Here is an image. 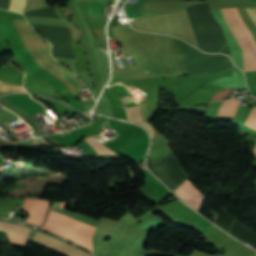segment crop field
Segmentation results:
<instances>
[{
	"instance_id": "8",
	"label": "crop field",
	"mask_w": 256,
	"mask_h": 256,
	"mask_svg": "<svg viewBox=\"0 0 256 256\" xmlns=\"http://www.w3.org/2000/svg\"><path fill=\"white\" fill-rule=\"evenodd\" d=\"M21 92H25L22 87L18 86ZM17 85L0 80V93L20 92Z\"/></svg>"
},
{
	"instance_id": "6",
	"label": "crop field",
	"mask_w": 256,
	"mask_h": 256,
	"mask_svg": "<svg viewBox=\"0 0 256 256\" xmlns=\"http://www.w3.org/2000/svg\"><path fill=\"white\" fill-rule=\"evenodd\" d=\"M223 103L221 104V107ZM238 105H239V100L237 99H229L225 101L223 107L219 109L218 116H234L238 108Z\"/></svg>"
},
{
	"instance_id": "10",
	"label": "crop field",
	"mask_w": 256,
	"mask_h": 256,
	"mask_svg": "<svg viewBox=\"0 0 256 256\" xmlns=\"http://www.w3.org/2000/svg\"><path fill=\"white\" fill-rule=\"evenodd\" d=\"M125 109H126V112H127L128 119L130 121L142 119L140 106L129 107V108H125Z\"/></svg>"
},
{
	"instance_id": "9",
	"label": "crop field",
	"mask_w": 256,
	"mask_h": 256,
	"mask_svg": "<svg viewBox=\"0 0 256 256\" xmlns=\"http://www.w3.org/2000/svg\"><path fill=\"white\" fill-rule=\"evenodd\" d=\"M24 6L25 0H9L7 9L23 14L22 11L24 9Z\"/></svg>"
},
{
	"instance_id": "2",
	"label": "crop field",
	"mask_w": 256,
	"mask_h": 256,
	"mask_svg": "<svg viewBox=\"0 0 256 256\" xmlns=\"http://www.w3.org/2000/svg\"><path fill=\"white\" fill-rule=\"evenodd\" d=\"M243 51L244 72L256 70V44L242 21L237 8L220 9Z\"/></svg>"
},
{
	"instance_id": "3",
	"label": "crop field",
	"mask_w": 256,
	"mask_h": 256,
	"mask_svg": "<svg viewBox=\"0 0 256 256\" xmlns=\"http://www.w3.org/2000/svg\"><path fill=\"white\" fill-rule=\"evenodd\" d=\"M33 241L41 245H44L48 248H51L55 251L61 252L67 256H90L38 231L36 232Z\"/></svg>"
},
{
	"instance_id": "12",
	"label": "crop field",
	"mask_w": 256,
	"mask_h": 256,
	"mask_svg": "<svg viewBox=\"0 0 256 256\" xmlns=\"http://www.w3.org/2000/svg\"><path fill=\"white\" fill-rule=\"evenodd\" d=\"M135 123H138V124L144 126L149 131V133L151 134L152 139H153L154 129L152 128V126H150V125H148V124H146V123H144L142 121H135Z\"/></svg>"
},
{
	"instance_id": "1",
	"label": "crop field",
	"mask_w": 256,
	"mask_h": 256,
	"mask_svg": "<svg viewBox=\"0 0 256 256\" xmlns=\"http://www.w3.org/2000/svg\"><path fill=\"white\" fill-rule=\"evenodd\" d=\"M94 229V227L52 211L44 226V230L65 237L90 251H93L91 235Z\"/></svg>"
},
{
	"instance_id": "4",
	"label": "crop field",
	"mask_w": 256,
	"mask_h": 256,
	"mask_svg": "<svg viewBox=\"0 0 256 256\" xmlns=\"http://www.w3.org/2000/svg\"><path fill=\"white\" fill-rule=\"evenodd\" d=\"M50 202L26 199L22 210L30 213L26 223L41 226Z\"/></svg>"
},
{
	"instance_id": "13",
	"label": "crop field",
	"mask_w": 256,
	"mask_h": 256,
	"mask_svg": "<svg viewBox=\"0 0 256 256\" xmlns=\"http://www.w3.org/2000/svg\"><path fill=\"white\" fill-rule=\"evenodd\" d=\"M255 9V11H256V8H254Z\"/></svg>"
},
{
	"instance_id": "7",
	"label": "crop field",
	"mask_w": 256,
	"mask_h": 256,
	"mask_svg": "<svg viewBox=\"0 0 256 256\" xmlns=\"http://www.w3.org/2000/svg\"><path fill=\"white\" fill-rule=\"evenodd\" d=\"M84 140L95 149L98 155L109 154V155L117 156L116 153L109 150L106 146H104L101 142H99L94 137L86 138Z\"/></svg>"
},
{
	"instance_id": "5",
	"label": "crop field",
	"mask_w": 256,
	"mask_h": 256,
	"mask_svg": "<svg viewBox=\"0 0 256 256\" xmlns=\"http://www.w3.org/2000/svg\"><path fill=\"white\" fill-rule=\"evenodd\" d=\"M0 230L8 232V236L13 244L23 245L31 229L0 220Z\"/></svg>"
},
{
	"instance_id": "11",
	"label": "crop field",
	"mask_w": 256,
	"mask_h": 256,
	"mask_svg": "<svg viewBox=\"0 0 256 256\" xmlns=\"http://www.w3.org/2000/svg\"><path fill=\"white\" fill-rule=\"evenodd\" d=\"M246 125L256 129V108H253V110L246 122ZM254 152L256 153V148H255Z\"/></svg>"
}]
</instances>
